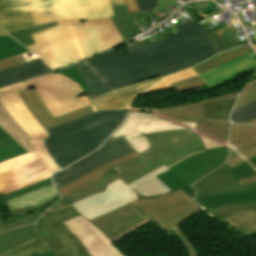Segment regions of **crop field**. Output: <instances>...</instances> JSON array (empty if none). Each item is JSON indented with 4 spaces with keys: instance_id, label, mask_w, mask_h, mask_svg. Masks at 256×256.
Returning <instances> with one entry per match:
<instances>
[{
    "instance_id": "22",
    "label": "crop field",
    "mask_w": 256,
    "mask_h": 256,
    "mask_svg": "<svg viewBox=\"0 0 256 256\" xmlns=\"http://www.w3.org/2000/svg\"><path fill=\"white\" fill-rule=\"evenodd\" d=\"M232 20L235 23H233L230 26H227L223 23L217 25L214 18L202 21V24L206 28L207 32L215 42L220 52L240 46L239 41L237 40V38L235 37L234 33L231 30V26L237 24V21L235 17Z\"/></svg>"
},
{
    "instance_id": "49",
    "label": "crop field",
    "mask_w": 256,
    "mask_h": 256,
    "mask_svg": "<svg viewBox=\"0 0 256 256\" xmlns=\"http://www.w3.org/2000/svg\"><path fill=\"white\" fill-rule=\"evenodd\" d=\"M156 1H157L158 6L151 9L153 14H154V12H157L159 9H161L164 6L177 4V0H156Z\"/></svg>"
},
{
    "instance_id": "6",
    "label": "crop field",
    "mask_w": 256,
    "mask_h": 256,
    "mask_svg": "<svg viewBox=\"0 0 256 256\" xmlns=\"http://www.w3.org/2000/svg\"><path fill=\"white\" fill-rule=\"evenodd\" d=\"M130 108L116 111H99L79 120L48 129L46 147L55 162L64 168L97 149L82 123L97 117L129 111Z\"/></svg>"
},
{
    "instance_id": "28",
    "label": "crop field",
    "mask_w": 256,
    "mask_h": 256,
    "mask_svg": "<svg viewBox=\"0 0 256 256\" xmlns=\"http://www.w3.org/2000/svg\"><path fill=\"white\" fill-rule=\"evenodd\" d=\"M256 143V126L231 124L230 153Z\"/></svg>"
},
{
    "instance_id": "46",
    "label": "crop field",
    "mask_w": 256,
    "mask_h": 256,
    "mask_svg": "<svg viewBox=\"0 0 256 256\" xmlns=\"http://www.w3.org/2000/svg\"><path fill=\"white\" fill-rule=\"evenodd\" d=\"M175 235L181 240V242L184 244V246L186 247L189 256H196V252L193 249V247L191 246L189 240L187 239V237L179 230L178 227H174L173 229H171Z\"/></svg>"
},
{
    "instance_id": "35",
    "label": "crop field",
    "mask_w": 256,
    "mask_h": 256,
    "mask_svg": "<svg viewBox=\"0 0 256 256\" xmlns=\"http://www.w3.org/2000/svg\"><path fill=\"white\" fill-rule=\"evenodd\" d=\"M236 99L220 102L203 103L205 117L220 118L228 120L231 108Z\"/></svg>"
},
{
    "instance_id": "17",
    "label": "crop field",
    "mask_w": 256,
    "mask_h": 256,
    "mask_svg": "<svg viewBox=\"0 0 256 256\" xmlns=\"http://www.w3.org/2000/svg\"><path fill=\"white\" fill-rule=\"evenodd\" d=\"M226 148L191 155L170 169L191 185L225 162L228 154V147Z\"/></svg>"
},
{
    "instance_id": "42",
    "label": "crop field",
    "mask_w": 256,
    "mask_h": 256,
    "mask_svg": "<svg viewBox=\"0 0 256 256\" xmlns=\"http://www.w3.org/2000/svg\"><path fill=\"white\" fill-rule=\"evenodd\" d=\"M25 54H21V55H17V56H13V57H10L7 59L0 60V70L7 69L10 67H14V66L35 60V58H27L25 56ZM37 59H39V58H37Z\"/></svg>"
},
{
    "instance_id": "48",
    "label": "crop field",
    "mask_w": 256,
    "mask_h": 256,
    "mask_svg": "<svg viewBox=\"0 0 256 256\" xmlns=\"http://www.w3.org/2000/svg\"><path fill=\"white\" fill-rule=\"evenodd\" d=\"M193 4H194V6H195V8H196V10H197V12H198V14L203 18V20L208 19V18H212V17H215V16L221 14V12H217V13H214V14H210V15L205 16V15L201 12L200 8L206 7L207 4H206L205 2H198V3H193Z\"/></svg>"
},
{
    "instance_id": "24",
    "label": "crop field",
    "mask_w": 256,
    "mask_h": 256,
    "mask_svg": "<svg viewBox=\"0 0 256 256\" xmlns=\"http://www.w3.org/2000/svg\"><path fill=\"white\" fill-rule=\"evenodd\" d=\"M50 71L52 70L46 67L41 59L32 61L21 66L0 71V86Z\"/></svg>"
},
{
    "instance_id": "15",
    "label": "crop field",
    "mask_w": 256,
    "mask_h": 256,
    "mask_svg": "<svg viewBox=\"0 0 256 256\" xmlns=\"http://www.w3.org/2000/svg\"><path fill=\"white\" fill-rule=\"evenodd\" d=\"M148 222H150L149 219L127 230L111 241H109L102 232H100L81 215L76 218L69 219L63 223L71 230L72 233L76 235L82 244L89 250L92 256H124L113 245V242L125 237Z\"/></svg>"
},
{
    "instance_id": "7",
    "label": "crop field",
    "mask_w": 256,
    "mask_h": 256,
    "mask_svg": "<svg viewBox=\"0 0 256 256\" xmlns=\"http://www.w3.org/2000/svg\"><path fill=\"white\" fill-rule=\"evenodd\" d=\"M35 87L53 118L91 105L82 88L74 80L57 72L24 82Z\"/></svg>"
},
{
    "instance_id": "30",
    "label": "crop field",
    "mask_w": 256,
    "mask_h": 256,
    "mask_svg": "<svg viewBox=\"0 0 256 256\" xmlns=\"http://www.w3.org/2000/svg\"><path fill=\"white\" fill-rule=\"evenodd\" d=\"M0 127L3 128L14 140H16L28 152L33 151L28 137L14 122L9 113L0 102Z\"/></svg>"
},
{
    "instance_id": "40",
    "label": "crop field",
    "mask_w": 256,
    "mask_h": 256,
    "mask_svg": "<svg viewBox=\"0 0 256 256\" xmlns=\"http://www.w3.org/2000/svg\"><path fill=\"white\" fill-rule=\"evenodd\" d=\"M254 99H256V79L247 82L235 107H239V106H241L245 103H248Z\"/></svg>"
},
{
    "instance_id": "52",
    "label": "crop field",
    "mask_w": 256,
    "mask_h": 256,
    "mask_svg": "<svg viewBox=\"0 0 256 256\" xmlns=\"http://www.w3.org/2000/svg\"><path fill=\"white\" fill-rule=\"evenodd\" d=\"M237 15H238V17H239L241 23L244 25V27L251 26V23L245 24V22H244V20H243V18H242V16H241V14H240V12L237 13Z\"/></svg>"
},
{
    "instance_id": "58",
    "label": "crop field",
    "mask_w": 256,
    "mask_h": 256,
    "mask_svg": "<svg viewBox=\"0 0 256 256\" xmlns=\"http://www.w3.org/2000/svg\"><path fill=\"white\" fill-rule=\"evenodd\" d=\"M254 28H255V30H256V25H254Z\"/></svg>"
},
{
    "instance_id": "20",
    "label": "crop field",
    "mask_w": 256,
    "mask_h": 256,
    "mask_svg": "<svg viewBox=\"0 0 256 256\" xmlns=\"http://www.w3.org/2000/svg\"><path fill=\"white\" fill-rule=\"evenodd\" d=\"M216 216L247 238L256 234V210L252 206L220 213Z\"/></svg>"
},
{
    "instance_id": "13",
    "label": "crop field",
    "mask_w": 256,
    "mask_h": 256,
    "mask_svg": "<svg viewBox=\"0 0 256 256\" xmlns=\"http://www.w3.org/2000/svg\"><path fill=\"white\" fill-rule=\"evenodd\" d=\"M134 151L135 150L124 140L123 137L105 141L104 144L92 154L54 174L52 176L53 183L55 187L62 186L108 161L122 157Z\"/></svg>"
},
{
    "instance_id": "3",
    "label": "crop field",
    "mask_w": 256,
    "mask_h": 256,
    "mask_svg": "<svg viewBox=\"0 0 256 256\" xmlns=\"http://www.w3.org/2000/svg\"><path fill=\"white\" fill-rule=\"evenodd\" d=\"M32 37L36 45L27 48L53 69L77 63L124 42L110 17L56 26Z\"/></svg>"
},
{
    "instance_id": "33",
    "label": "crop field",
    "mask_w": 256,
    "mask_h": 256,
    "mask_svg": "<svg viewBox=\"0 0 256 256\" xmlns=\"http://www.w3.org/2000/svg\"><path fill=\"white\" fill-rule=\"evenodd\" d=\"M23 153L27 151L0 128V162Z\"/></svg>"
},
{
    "instance_id": "37",
    "label": "crop field",
    "mask_w": 256,
    "mask_h": 256,
    "mask_svg": "<svg viewBox=\"0 0 256 256\" xmlns=\"http://www.w3.org/2000/svg\"><path fill=\"white\" fill-rule=\"evenodd\" d=\"M28 51L27 48L23 47L9 36L0 37V59Z\"/></svg>"
},
{
    "instance_id": "53",
    "label": "crop field",
    "mask_w": 256,
    "mask_h": 256,
    "mask_svg": "<svg viewBox=\"0 0 256 256\" xmlns=\"http://www.w3.org/2000/svg\"><path fill=\"white\" fill-rule=\"evenodd\" d=\"M215 6H216L215 4H211V5H209V7L203 8L202 11L204 12V11L212 10L213 7H215ZM217 8H218V7H217Z\"/></svg>"
},
{
    "instance_id": "59",
    "label": "crop field",
    "mask_w": 256,
    "mask_h": 256,
    "mask_svg": "<svg viewBox=\"0 0 256 256\" xmlns=\"http://www.w3.org/2000/svg\"><path fill=\"white\" fill-rule=\"evenodd\" d=\"M33 256H39V254H37V255H33Z\"/></svg>"
},
{
    "instance_id": "8",
    "label": "crop field",
    "mask_w": 256,
    "mask_h": 256,
    "mask_svg": "<svg viewBox=\"0 0 256 256\" xmlns=\"http://www.w3.org/2000/svg\"><path fill=\"white\" fill-rule=\"evenodd\" d=\"M131 110L151 112L161 118L197 122L196 130L206 148L211 149L228 144L229 121L204 118L202 101L161 109Z\"/></svg>"
},
{
    "instance_id": "29",
    "label": "crop field",
    "mask_w": 256,
    "mask_h": 256,
    "mask_svg": "<svg viewBox=\"0 0 256 256\" xmlns=\"http://www.w3.org/2000/svg\"><path fill=\"white\" fill-rule=\"evenodd\" d=\"M37 236L34 224L0 234V253Z\"/></svg>"
},
{
    "instance_id": "57",
    "label": "crop field",
    "mask_w": 256,
    "mask_h": 256,
    "mask_svg": "<svg viewBox=\"0 0 256 256\" xmlns=\"http://www.w3.org/2000/svg\"><path fill=\"white\" fill-rule=\"evenodd\" d=\"M254 78H256V72L250 77L249 80H252V79H254Z\"/></svg>"
},
{
    "instance_id": "32",
    "label": "crop field",
    "mask_w": 256,
    "mask_h": 256,
    "mask_svg": "<svg viewBox=\"0 0 256 256\" xmlns=\"http://www.w3.org/2000/svg\"><path fill=\"white\" fill-rule=\"evenodd\" d=\"M255 156H256V144L240 149L236 152H233L232 154L229 155L226 163L229 166V168H231ZM238 182L240 183L241 186L256 182V175L242 179V180H238Z\"/></svg>"
},
{
    "instance_id": "44",
    "label": "crop field",
    "mask_w": 256,
    "mask_h": 256,
    "mask_svg": "<svg viewBox=\"0 0 256 256\" xmlns=\"http://www.w3.org/2000/svg\"><path fill=\"white\" fill-rule=\"evenodd\" d=\"M57 72L71 77L72 79H74L76 82H78L81 85V87L84 89L85 93L89 92L88 87L84 83L83 79L81 78V76L78 73L75 66L71 67V68H68V69L60 70V71H57Z\"/></svg>"
},
{
    "instance_id": "43",
    "label": "crop field",
    "mask_w": 256,
    "mask_h": 256,
    "mask_svg": "<svg viewBox=\"0 0 256 256\" xmlns=\"http://www.w3.org/2000/svg\"><path fill=\"white\" fill-rule=\"evenodd\" d=\"M201 85H205V83L198 76L176 83H172V86L176 92L194 88Z\"/></svg>"
},
{
    "instance_id": "47",
    "label": "crop field",
    "mask_w": 256,
    "mask_h": 256,
    "mask_svg": "<svg viewBox=\"0 0 256 256\" xmlns=\"http://www.w3.org/2000/svg\"><path fill=\"white\" fill-rule=\"evenodd\" d=\"M139 10L151 9L157 6L155 0H136Z\"/></svg>"
},
{
    "instance_id": "11",
    "label": "crop field",
    "mask_w": 256,
    "mask_h": 256,
    "mask_svg": "<svg viewBox=\"0 0 256 256\" xmlns=\"http://www.w3.org/2000/svg\"><path fill=\"white\" fill-rule=\"evenodd\" d=\"M56 21L50 0H0V27L6 32Z\"/></svg>"
},
{
    "instance_id": "26",
    "label": "crop field",
    "mask_w": 256,
    "mask_h": 256,
    "mask_svg": "<svg viewBox=\"0 0 256 256\" xmlns=\"http://www.w3.org/2000/svg\"><path fill=\"white\" fill-rule=\"evenodd\" d=\"M256 200V189L246 192L237 193H225L212 195L195 201L202 205L204 208L211 209L225 204L243 202V201H255Z\"/></svg>"
},
{
    "instance_id": "36",
    "label": "crop field",
    "mask_w": 256,
    "mask_h": 256,
    "mask_svg": "<svg viewBox=\"0 0 256 256\" xmlns=\"http://www.w3.org/2000/svg\"><path fill=\"white\" fill-rule=\"evenodd\" d=\"M168 188L173 191L177 189L183 190L187 195L193 198L195 191L187 185L182 179H180L175 173L171 170L157 176Z\"/></svg>"
},
{
    "instance_id": "21",
    "label": "crop field",
    "mask_w": 256,
    "mask_h": 256,
    "mask_svg": "<svg viewBox=\"0 0 256 256\" xmlns=\"http://www.w3.org/2000/svg\"><path fill=\"white\" fill-rule=\"evenodd\" d=\"M126 113L97 118L84 123L97 148L123 122Z\"/></svg>"
},
{
    "instance_id": "50",
    "label": "crop field",
    "mask_w": 256,
    "mask_h": 256,
    "mask_svg": "<svg viewBox=\"0 0 256 256\" xmlns=\"http://www.w3.org/2000/svg\"><path fill=\"white\" fill-rule=\"evenodd\" d=\"M125 2H126V6L128 8L129 13L139 11L135 3V0H125Z\"/></svg>"
},
{
    "instance_id": "19",
    "label": "crop field",
    "mask_w": 256,
    "mask_h": 256,
    "mask_svg": "<svg viewBox=\"0 0 256 256\" xmlns=\"http://www.w3.org/2000/svg\"><path fill=\"white\" fill-rule=\"evenodd\" d=\"M164 78V76H160L132 85H128L122 89L111 91L101 96H97L91 99V101L97 106L98 109H120L128 107L131 105L134 98L138 94L142 93L152 85L160 82Z\"/></svg>"
},
{
    "instance_id": "1",
    "label": "crop field",
    "mask_w": 256,
    "mask_h": 256,
    "mask_svg": "<svg viewBox=\"0 0 256 256\" xmlns=\"http://www.w3.org/2000/svg\"><path fill=\"white\" fill-rule=\"evenodd\" d=\"M136 157L134 152L58 187L61 201L40 218L73 206L110 240L147 219L146 216L166 231L201 208L183 191L173 192L155 177L169 170L164 165L125 184L113 173V167Z\"/></svg>"
},
{
    "instance_id": "18",
    "label": "crop field",
    "mask_w": 256,
    "mask_h": 256,
    "mask_svg": "<svg viewBox=\"0 0 256 256\" xmlns=\"http://www.w3.org/2000/svg\"><path fill=\"white\" fill-rule=\"evenodd\" d=\"M19 94L23 99L26 107L45 129L55 127L60 124L70 122L78 118L84 117L86 115L92 114L94 112H97L95 107L91 105L78 111L72 112L70 114L53 119L47 111L44 104L42 103L41 99L39 98L35 88L20 91Z\"/></svg>"
},
{
    "instance_id": "5",
    "label": "crop field",
    "mask_w": 256,
    "mask_h": 256,
    "mask_svg": "<svg viewBox=\"0 0 256 256\" xmlns=\"http://www.w3.org/2000/svg\"><path fill=\"white\" fill-rule=\"evenodd\" d=\"M147 137L151 143L150 150L115 167V174L127 184L163 164L168 167L191 153L205 150L196 130L172 131Z\"/></svg>"
},
{
    "instance_id": "25",
    "label": "crop field",
    "mask_w": 256,
    "mask_h": 256,
    "mask_svg": "<svg viewBox=\"0 0 256 256\" xmlns=\"http://www.w3.org/2000/svg\"><path fill=\"white\" fill-rule=\"evenodd\" d=\"M115 16H112L111 19L115 26L117 27L118 31L122 35L123 39H130L137 34L141 33L138 28L135 26L132 18L146 13L147 11L135 12V13H128L126 6H115L112 7Z\"/></svg>"
},
{
    "instance_id": "14",
    "label": "crop field",
    "mask_w": 256,
    "mask_h": 256,
    "mask_svg": "<svg viewBox=\"0 0 256 256\" xmlns=\"http://www.w3.org/2000/svg\"><path fill=\"white\" fill-rule=\"evenodd\" d=\"M254 56L255 54L254 52H252L248 55L216 67L212 70L201 73L198 76L207 84L208 88L210 89L212 87L221 85L244 72L254 70L256 68V57ZM196 75L197 74L192 68L181 71L166 78L165 80L144 93L171 89L172 87L170 83L190 78Z\"/></svg>"
},
{
    "instance_id": "27",
    "label": "crop field",
    "mask_w": 256,
    "mask_h": 256,
    "mask_svg": "<svg viewBox=\"0 0 256 256\" xmlns=\"http://www.w3.org/2000/svg\"><path fill=\"white\" fill-rule=\"evenodd\" d=\"M56 195L58 194L56 193L53 185L51 184L28 195L11 201H7L6 203L8 205V211H12L24 207L37 206L41 203L47 202Z\"/></svg>"
},
{
    "instance_id": "45",
    "label": "crop field",
    "mask_w": 256,
    "mask_h": 256,
    "mask_svg": "<svg viewBox=\"0 0 256 256\" xmlns=\"http://www.w3.org/2000/svg\"><path fill=\"white\" fill-rule=\"evenodd\" d=\"M249 205H252L256 209V201H255V202H243V203L230 204V205L211 209V211H213L215 214H217L220 212L230 211V210L242 208V207L249 206Z\"/></svg>"
},
{
    "instance_id": "12",
    "label": "crop field",
    "mask_w": 256,
    "mask_h": 256,
    "mask_svg": "<svg viewBox=\"0 0 256 256\" xmlns=\"http://www.w3.org/2000/svg\"><path fill=\"white\" fill-rule=\"evenodd\" d=\"M254 174H256V157L231 169L224 163L217 170L193 185V188L197 191L195 199L217 193L255 189L256 183L240 187L236 181Z\"/></svg>"
},
{
    "instance_id": "39",
    "label": "crop field",
    "mask_w": 256,
    "mask_h": 256,
    "mask_svg": "<svg viewBox=\"0 0 256 256\" xmlns=\"http://www.w3.org/2000/svg\"><path fill=\"white\" fill-rule=\"evenodd\" d=\"M56 25H57L56 22L47 23V24H43L40 26H36V27H32V28H28V29H24V30H20V31L9 32L8 34H10L12 37H14L16 40H18L23 45L28 46V45L34 44L30 34L40 31V30H43V29H46V28H49V27L56 26Z\"/></svg>"
},
{
    "instance_id": "41",
    "label": "crop field",
    "mask_w": 256,
    "mask_h": 256,
    "mask_svg": "<svg viewBox=\"0 0 256 256\" xmlns=\"http://www.w3.org/2000/svg\"><path fill=\"white\" fill-rule=\"evenodd\" d=\"M51 180L50 178L45 180V181H42V182H39L37 184H34V185H31V186H28V187H25L23 189H20V190H17V191H14L12 193H9L7 195H4V199L7 201V200H11V199H14V198H17L19 196H22V195H25V194H28L34 190H37L39 188H42L46 185H49L51 184Z\"/></svg>"
},
{
    "instance_id": "55",
    "label": "crop field",
    "mask_w": 256,
    "mask_h": 256,
    "mask_svg": "<svg viewBox=\"0 0 256 256\" xmlns=\"http://www.w3.org/2000/svg\"><path fill=\"white\" fill-rule=\"evenodd\" d=\"M246 123H248V124H256V119H254V120H251V121H249V122H246Z\"/></svg>"
},
{
    "instance_id": "9",
    "label": "crop field",
    "mask_w": 256,
    "mask_h": 256,
    "mask_svg": "<svg viewBox=\"0 0 256 256\" xmlns=\"http://www.w3.org/2000/svg\"><path fill=\"white\" fill-rule=\"evenodd\" d=\"M196 123L160 119L147 112L131 111L124 124L108 139L123 136L139 154L150 148L145 135L180 129H195ZM140 135V136H138Z\"/></svg>"
},
{
    "instance_id": "54",
    "label": "crop field",
    "mask_w": 256,
    "mask_h": 256,
    "mask_svg": "<svg viewBox=\"0 0 256 256\" xmlns=\"http://www.w3.org/2000/svg\"><path fill=\"white\" fill-rule=\"evenodd\" d=\"M41 256H54L51 251H48L46 253H42Z\"/></svg>"
},
{
    "instance_id": "34",
    "label": "crop field",
    "mask_w": 256,
    "mask_h": 256,
    "mask_svg": "<svg viewBox=\"0 0 256 256\" xmlns=\"http://www.w3.org/2000/svg\"><path fill=\"white\" fill-rule=\"evenodd\" d=\"M48 250V248L42 243L39 237H35L13 249H10L0 256H29Z\"/></svg>"
},
{
    "instance_id": "38",
    "label": "crop field",
    "mask_w": 256,
    "mask_h": 256,
    "mask_svg": "<svg viewBox=\"0 0 256 256\" xmlns=\"http://www.w3.org/2000/svg\"><path fill=\"white\" fill-rule=\"evenodd\" d=\"M253 118H256V100L239 108L233 109L230 116V119L237 123H244Z\"/></svg>"
},
{
    "instance_id": "31",
    "label": "crop field",
    "mask_w": 256,
    "mask_h": 256,
    "mask_svg": "<svg viewBox=\"0 0 256 256\" xmlns=\"http://www.w3.org/2000/svg\"><path fill=\"white\" fill-rule=\"evenodd\" d=\"M252 48L251 47H248L246 48L245 46H241L237 49H234V50H231V51H227V52H223L217 56H215L214 58L198 65V66H195L193 67V69L195 70V72L197 74L201 73V72H204V71H207L209 69H212L216 66H219L221 64H224L228 61H231L235 58H238L240 56H243L247 53H250L252 52Z\"/></svg>"
},
{
    "instance_id": "56",
    "label": "crop field",
    "mask_w": 256,
    "mask_h": 256,
    "mask_svg": "<svg viewBox=\"0 0 256 256\" xmlns=\"http://www.w3.org/2000/svg\"><path fill=\"white\" fill-rule=\"evenodd\" d=\"M7 35L2 29H0V36Z\"/></svg>"
},
{
    "instance_id": "2",
    "label": "crop field",
    "mask_w": 256,
    "mask_h": 256,
    "mask_svg": "<svg viewBox=\"0 0 256 256\" xmlns=\"http://www.w3.org/2000/svg\"><path fill=\"white\" fill-rule=\"evenodd\" d=\"M179 31L167 40L133 48L125 44L127 57L111 50L91 61L76 65L89 87V99L145 79L192 67L219 50L201 22L174 25Z\"/></svg>"
},
{
    "instance_id": "23",
    "label": "crop field",
    "mask_w": 256,
    "mask_h": 256,
    "mask_svg": "<svg viewBox=\"0 0 256 256\" xmlns=\"http://www.w3.org/2000/svg\"><path fill=\"white\" fill-rule=\"evenodd\" d=\"M59 199V196L55 197L54 199L50 200L49 202L39 205L37 207L25 208L13 212H9L11 217L3 220L0 218V233L5 232L9 229L28 225L36 221L38 216L41 214L39 212H35L33 209L43 207L49 204L55 203ZM5 204L4 199L0 194V205ZM1 216V214H0Z\"/></svg>"
},
{
    "instance_id": "10",
    "label": "crop field",
    "mask_w": 256,
    "mask_h": 256,
    "mask_svg": "<svg viewBox=\"0 0 256 256\" xmlns=\"http://www.w3.org/2000/svg\"><path fill=\"white\" fill-rule=\"evenodd\" d=\"M77 215L79 213L71 207L38 221L37 232L55 256H91L74 234L61 223Z\"/></svg>"
},
{
    "instance_id": "51",
    "label": "crop field",
    "mask_w": 256,
    "mask_h": 256,
    "mask_svg": "<svg viewBox=\"0 0 256 256\" xmlns=\"http://www.w3.org/2000/svg\"><path fill=\"white\" fill-rule=\"evenodd\" d=\"M112 6L125 4L124 0H109Z\"/></svg>"
},
{
    "instance_id": "16",
    "label": "crop field",
    "mask_w": 256,
    "mask_h": 256,
    "mask_svg": "<svg viewBox=\"0 0 256 256\" xmlns=\"http://www.w3.org/2000/svg\"><path fill=\"white\" fill-rule=\"evenodd\" d=\"M58 25L112 16L108 0H51Z\"/></svg>"
},
{
    "instance_id": "4",
    "label": "crop field",
    "mask_w": 256,
    "mask_h": 256,
    "mask_svg": "<svg viewBox=\"0 0 256 256\" xmlns=\"http://www.w3.org/2000/svg\"><path fill=\"white\" fill-rule=\"evenodd\" d=\"M25 89L23 82L0 89L1 102L19 127L32 138L30 141L34 150L0 163L2 195L45 180L60 170L50 157L43 141L49 133L34 119L17 92Z\"/></svg>"
}]
</instances>
